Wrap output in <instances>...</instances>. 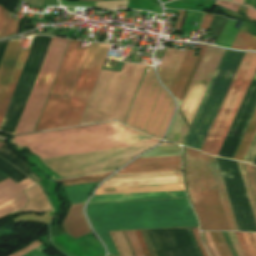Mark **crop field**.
I'll list each match as a JSON object with an SVG mask.
<instances>
[{
    "label": "crop field",
    "mask_w": 256,
    "mask_h": 256,
    "mask_svg": "<svg viewBox=\"0 0 256 256\" xmlns=\"http://www.w3.org/2000/svg\"><path fill=\"white\" fill-rule=\"evenodd\" d=\"M21 20L10 19L9 12L0 5V37L18 32Z\"/></svg>",
    "instance_id": "crop-field-20"
},
{
    "label": "crop field",
    "mask_w": 256,
    "mask_h": 256,
    "mask_svg": "<svg viewBox=\"0 0 256 256\" xmlns=\"http://www.w3.org/2000/svg\"><path fill=\"white\" fill-rule=\"evenodd\" d=\"M255 131H256V111H255V113H254V115L251 119V122H250V124H249V126H248V128L245 132V135H244V137H243V139H242V141L239 145V148H238V150H237L233 159L240 160V161L243 160L245 152H246V150H247V148H248V146L251 142V139H252Z\"/></svg>",
    "instance_id": "crop-field-21"
},
{
    "label": "crop field",
    "mask_w": 256,
    "mask_h": 256,
    "mask_svg": "<svg viewBox=\"0 0 256 256\" xmlns=\"http://www.w3.org/2000/svg\"><path fill=\"white\" fill-rule=\"evenodd\" d=\"M231 48L256 50V36L239 30Z\"/></svg>",
    "instance_id": "crop-field-22"
},
{
    "label": "crop field",
    "mask_w": 256,
    "mask_h": 256,
    "mask_svg": "<svg viewBox=\"0 0 256 256\" xmlns=\"http://www.w3.org/2000/svg\"><path fill=\"white\" fill-rule=\"evenodd\" d=\"M111 45L93 43L60 127L78 125Z\"/></svg>",
    "instance_id": "crop-field-11"
},
{
    "label": "crop field",
    "mask_w": 256,
    "mask_h": 256,
    "mask_svg": "<svg viewBox=\"0 0 256 256\" xmlns=\"http://www.w3.org/2000/svg\"><path fill=\"white\" fill-rule=\"evenodd\" d=\"M117 122L18 136L10 143L23 144L40 159L159 142Z\"/></svg>",
    "instance_id": "crop-field-3"
},
{
    "label": "crop field",
    "mask_w": 256,
    "mask_h": 256,
    "mask_svg": "<svg viewBox=\"0 0 256 256\" xmlns=\"http://www.w3.org/2000/svg\"><path fill=\"white\" fill-rule=\"evenodd\" d=\"M187 50L188 49H186L185 52H182L167 48L163 55L157 71L164 85L168 89H170L174 81Z\"/></svg>",
    "instance_id": "crop-field-15"
},
{
    "label": "crop field",
    "mask_w": 256,
    "mask_h": 256,
    "mask_svg": "<svg viewBox=\"0 0 256 256\" xmlns=\"http://www.w3.org/2000/svg\"><path fill=\"white\" fill-rule=\"evenodd\" d=\"M186 197L184 191L93 196L90 202Z\"/></svg>",
    "instance_id": "crop-field-18"
},
{
    "label": "crop field",
    "mask_w": 256,
    "mask_h": 256,
    "mask_svg": "<svg viewBox=\"0 0 256 256\" xmlns=\"http://www.w3.org/2000/svg\"><path fill=\"white\" fill-rule=\"evenodd\" d=\"M215 5H220V6L226 8V9H229V10L235 12V13L237 12V10L239 8L238 5L230 3L228 1H224V0H216L214 6Z\"/></svg>",
    "instance_id": "crop-field-30"
},
{
    "label": "crop field",
    "mask_w": 256,
    "mask_h": 256,
    "mask_svg": "<svg viewBox=\"0 0 256 256\" xmlns=\"http://www.w3.org/2000/svg\"><path fill=\"white\" fill-rule=\"evenodd\" d=\"M167 1H169V0H167Z\"/></svg>",
    "instance_id": "crop-field-47"
},
{
    "label": "crop field",
    "mask_w": 256,
    "mask_h": 256,
    "mask_svg": "<svg viewBox=\"0 0 256 256\" xmlns=\"http://www.w3.org/2000/svg\"><path fill=\"white\" fill-rule=\"evenodd\" d=\"M87 216L114 256L108 231L198 226L187 199L89 204Z\"/></svg>",
    "instance_id": "crop-field-2"
},
{
    "label": "crop field",
    "mask_w": 256,
    "mask_h": 256,
    "mask_svg": "<svg viewBox=\"0 0 256 256\" xmlns=\"http://www.w3.org/2000/svg\"><path fill=\"white\" fill-rule=\"evenodd\" d=\"M212 16L213 15L205 14L200 28L207 29L208 26H209V23L211 21Z\"/></svg>",
    "instance_id": "crop-field-38"
},
{
    "label": "crop field",
    "mask_w": 256,
    "mask_h": 256,
    "mask_svg": "<svg viewBox=\"0 0 256 256\" xmlns=\"http://www.w3.org/2000/svg\"><path fill=\"white\" fill-rule=\"evenodd\" d=\"M111 188H117V191L104 192V189H111ZM175 190H184L183 183L98 188L95 195L175 191Z\"/></svg>",
    "instance_id": "crop-field-17"
},
{
    "label": "crop field",
    "mask_w": 256,
    "mask_h": 256,
    "mask_svg": "<svg viewBox=\"0 0 256 256\" xmlns=\"http://www.w3.org/2000/svg\"><path fill=\"white\" fill-rule=\"evenodd\" d=\"M245 158H247L246 162L251 164H253L256 159V134L253 138V141L248 149Z\"/></svg>",
    "instance_id": "crop-field-29"
},
{
    "label": "crop field",
    "mask_w": 256,
    "mask_h": 256,
    "mask_svg": "<svg viewBox=\"0 0 256 256\" xmlns=\"http://www.w3.org/2000/svg\"><path fill=\"white\" fill-rule=\"evenodd\" d=\"M245 5L246 6L250 5V6L256 7V0H245Z\"/></svg>",
    "instance_id": "crop-field-42"
},
{
    "label": "crop field",
    "mask_w": 256,
    "mask_h": 256,
    "mask_svg": "<svg viewBox=\"0 0 256 256\" xmlns=\"http://www.w3.org/2000/svg\"><path fill=\"white\" fill-rule=\"evenodd\" d=\"M224 51L225 50L223 49L211 46L207 47L198 66V69L193 77V80L188 88V91L183 99V102L176 114L172 128L166 137V140H169L171 133H173L178 135V137L172 134L170 140L175 142L177 137L176 143L183 144L195 118V112H197L199 109V106L211 82L210 79H212ZM244 54L245 53L242 52L225 51L213 81L208 89V92L183 145L201 149ZM196 76L210 79L199 77L196 78ZM182 108L195 112L185 111L182 110ZM179 111L182 112L190 127L185 124Z\"/></svg>",
    "instance_id": "crop-field-1"
},
{
    "label": "crop field",
    "mask_w": 256,
    "mask_h": 256,
    "mask_svg": "<svg viewBox=\"0 0 256 256\" xmlns=\"http://www.w3.org/2000/svg\"><path fill=\"white\" fill-rule=\"evenodd\" d=\"M40 245H41V243L37 240L34 243L27 246L26 248L22 249L21 251L15 253V254H12L10 256H22V255L26 254L27 252L31 251L32 249L40 246Z\"/></svg>",
    "instance_id": "crop-field-32"
},
{
    "label": "crop field",
    "mask_w": 256,
    "mask_h": 256,
    "mask_svg": "<svg viewBox=\"0 0 256 256\" xmlns=\"http://www.w3.org/2000/svg\"><path fill=\"white\" fill-rule=\"evenodd\" d=\"M173 111L171 96L159 85L153 69L149 67L125 124L161 139Z\"/></svg>",
    "instance_id": "crop-field-5"
},
{
    "label": "crop field",
    "mask_w": 256,
    "mask_h": 256,
    "mask_svg": "<svg viewBox=\"0 0 256 256\" xmlns=\"http://www.w3.org/2000/svg\"><path fill=\"white\" fill-rule=\"evenodd\" d=\"M134 232H135V234H136V236H137V238H138V241H139V243H140V246H141V249H142L144 255H145V256H150V254H149V252H148V250H147V248H146V245H145V243H144V240H143V238H142V235H141L140 231H134Z\"/></svg>",
    "instance_id": "crop-field-33"
},
{
    "label": "crop field",
    "mask_w": 256,
    "mask_h": 256,
    "mask_svg": "<svg viewBox=\"0 0 256 256\" xmlns=\"http://www.w3.org/2000/svg\"><path fill=\"white\" fill-rule=\"evenodd\" d=\"M206 47L207 46L204 45L201 46L198 57L193 56L195 50H188L170 89V91L175 95L176 99H183Z\"/></svg>",
    "instance_id": "crop-field-14"
},
{
    "label": "crop field",
    "mask_w": 256,
    "mask_h": 256,
    "mask_svg": "<svg viewBox=\"0 0 256 256\" xmlns=\"http://www.w3.org/2000/svg\"><path fill=\"white\" fill-rule=\"evenodd\" d=\"M256 70V53H246L212 125L202 151L217 155Z\"/></svg>",
    "instance_id": "crop-field-7"
},
{
    "label": "crop field",
    "mask_w": 256,
    "mask_h": 256,
    "mask_svg": "<svg viewBox=\"0 0 256 256\" xmlns=\"http://www.w3.org/2000/svg\"><path fill=\"white\" fill-rule=\"evenodd\" d=\"M245 164L254 194H255V198H256V167L250 164Z\"/></svg>",
    "instance_id": "crop-field-27"
},
{
    "label": "crop field",
    "mask_w": 256,
    "mask_h": 256,
    "mask_svg": "<svg viewBox=\"0 0 256 256\" xmlns=\"http://www.w3.org/2000/svg\"><path fill=\"white\" fill-rule=\"evenodd\" d=\"M20 41L21 40H15V41L9 42L6 52L4 54L3 60L1 62V65H0V101H1V98L5 91V88L7 86V83L9 81V78L11 76V73L13 71V68L15 66V63L17 61V58L19 56V53L21 51L19 49ZM29 52L30 51L22 50L20 53V56L18 58L16 66L14 68V71L12 73V76L10 78L8 86L6 88V91L4 93L2 101L0 103V123H1L3 115L7 108L8 102L10 100L11 94L14 90V87H15L16 82L19 78V75L22 71V68L25 64V61L27 59Z\"/></svg>",
    "instance_id": "crop-field-12"
},
{
    "label": "crop field",
    "mask_w": 256,
    "mask_h": 256,
    "mask_svg": "<svg viewBox=\"0 0 256 256\" xmlns=\"http://www.w3.org/2000/svg\"><path fill=\"white\" fill-rule=\"evenodd\" d=\"M193 233H194V235L196 237V240L198 242V245L200 247V250H201L203 256H208L206 251H205V249H204V247H203V245H202V243H201V241H200L199 230H193Z\"/></svg>",
    "instance_id": "crop-field-36"
},
{
    "label": "crop field",
    "mask_w": 256,
    "mask_h": 256,
    "mask_svg": "<svg viewBox=\"0 0 256 256\" xmlns=\"http://www.w3.org/2000/svg\"><path fill=\"white\" fill-rule=\"evenodd\" d=\"M246 15L256 20V11L255 10L248 8Z\"/></svg>",
    "instance_id": "crop-field-41"
},
{
    "label": "crop field",
    "mask_w": 256,
    "mask_h": 256,
    "mask_svg": "<svg viewBox=\"0 0 256 256\" xmlns=\"http://www.w3.org/2000/svg\"><path fill=\"white\" fill-rule=\"evenodd\" d=\"M181 170V156L138 158L117 173ZM183 182L181 171L114 174L100 187Z\"/></svg>",
    "instance_id": "crop-field-8"
},
{
    "label": "crop field",
    "mask_w": 256,
    "mask_h": 256,
    "mask_svg": "<svg viewBox=\"0 0 256 256\" xmlns=\"http://www.w3.org/2000/svg\"><path fill=\"white\" fill-rule=\"evenodd\" d=\"M248 234V236H249V238H250V240H251V243H252V245H253V247H254V249H255V251H256V243H255V241H254V239H253V237H252V234L251 233H247Z\"/></svg>",
    "instance_id": "crop-field-43"
},
{
    "label": "crop field",
    "mask_w": 256,
    "mask_h": 256,
    "mask_svg": "<svg viewBox=\"0 0 256 256\" xmlns=\"http://www.w3.org/2000/svg\"><path fill=\"white\" fill-rule=\"evenodd\" d=\"M184 12L185 11L179 10L178 16H177V22H176V25H175V29H178V30L181 29Z\"/></svg>",
    "instance_id": "crop-field-37"
},
{
    "label": "crop field",
    "mask_w": 256,
    "mask_h": 256,
    "mask_svg": "<svg viewBox=\"0 0 256 256\" xmlns=\"http://www.w3.org/2000/svg\"><path fill=\"white\" fill-rule=\"evenodd\" d=\"M220 256H227L216 232H210Z\"/></svg>",
    "instance_id": "crop-field-31"
},
{
    "label": "crop field",
    "mask_w": 256,
    "mask_h": 256,
    "mask_svg": "<svg viewBox=\"0 0 256 256\" xmlns=\"http://www.w3.org/2000/svg\"><path fill=\"white\" fill-rule=\"evenodd\" d=\"M123 256H132L121 232L113 233Z\"/></svg>",
    "instance_id": "crop-field-26"
},
{
    "label": "crop field",
    "mask_w": 256,
    "mask_h": 256,
    "mask_svg": "<svg viewBox=\"0 0 256 256\" xmlns=\"http://www.w3.org/2000/svg\"><path fill=\"white\" fill-rule=\"evenodd\" d=\"M242 233H243V235H244V238H245V240H246V243H247V245H248V247H249V249H250V252H251L252 256H256V253H255V251H254V249H253V247H252V245H251V243H250V240H249L247 234L244 233V232H242Z\"/></svg>",
    "instance_id": "crop-field-40"
},
{
    "label": "crop field",
    "mask_w": 256,
    "mask_h": 256,
    "mask_svg": "<svg viewBox=\"0 0 256 256\" xmlns=\"http://www.w3.org/2000/svg\"><path fill=\"white\" fill-rule=\"evenodd\" d=\"M113 172H115V171H113ZM113 172L96 174V175H88V176H83V177H79V178H75V179L59 180L57 182L62 183V186L65 187L67 185H72V184L101 181L104 177L110 175Z\"/></svg>",
    "instance_id": "crop-field-23"
},
{
    "label": "crop field",
    "mask_w": 256,
    "mask_h": 256,
    "mask_svg": "<svg viewBox=\"0 0 256 256\" xmlns=\"http://www.w3.org/2000/svg\"><path fill=\"white\" fill-rule=\"evenodd\" d=\"M204 233H205L207 242H208V244H209V246H210V248H211V250H212L214 256H219V254H218V252H217V250H216V248H215V245H214V243H213V240H212V238H211L210 233H209V232H204Z\"/></svg>",
    "instance_id": "crop-field-35"
},
{
    "label": "crop field",
    "mask_w": 256,
    "mask_h": 256,
    "mask_svg": "<svg viewBox=\"0 0 256 256\" xmlns=\"http://www.w3.org/2000/svg\"><path fill=\"white\" fill-rule=\"evenodd\" d=\"M99 182L65 187V193L71 204L86 202Z\"/></svg>",
    "instance_id": "crop-field-19"
},
{
    "label": "crop field",
    "mask_w": 256,
    "mask_h": 256,
    "mask_svg": "<svg viewBox=\"0 0 256 256\" xmlns=\"http://www.w3.org/2000/svg\"><path fill=\"white\" fill-rule=\"evenodd\" d=\"M68 41L52 38L15 134L33 130Z\"/></svg>",
    "instance_id": "crop-field-9"
},
{
    "label": "crop field",
    "mask_w": 256,
    "mask_h": 256,
    "mask_svg": "<svg viewBox=\"0 0 256 256\" xmlns=\"http://www.w3.org/2000/svg\"><path fill=\"white\" fill-rule=\"evenodd\" d=\"M217 233H218V235H219V238H220V240H221V242H222V244H223V246H224V248H225V250H226L228 256H232V254H231V252H230V249H229V247H228V245H227V243H226V241H225V238H224L222 232H217Z\"/></svg>",
    "instance_id": "crop-field-39"
},
{
    "label": "crop field",
    "mask_w": 256,
    "mask_h": 256,
    "mask_svg": "<svg viewBox=\"0 0 256 256\" xmlns=\"http://www.w3.org/2000/svg\"><path fill=\"white\" fill-rule=\"evenodd\" d=\"M35 184L29 177L17 184L9 178L0 182V218L26 206L27 197L22 191Z\"/></svg>",
    "instance_id": "crop-field-13"
},
{
    "label": "crop field",
    "mask_w": 256,
    "mask_h": 256,
    "mask_svg": "<svg viewBox=\"0 0 256 256\" xmlns=\"http://www.w3.org/2000/svg\"><path fill=\"white\" fill-rule=\"evenodd\" d=\"M185 173L189 196L203 230H230L207 156L186 148Z\"/></svg>",
    "instance_id": "crop-field-4"
},
{
    "label": "crop field",
    "mask_w": 256,
    "mask_h": 256,
    "mask_svg": "<svg viewBox=\"0 0 256 256\" xmlns=\"http://www.w3.org/2000/svg\"><path fill=\"white\" fill-rule=\"evenodd\" d=\"M71 41L35 131L59 127L90 46ZM80 41L77 46L80 45ZM92 47V46H91Z\"/></svg>",
    "instance_id": "crop-field-6"
},
{
    "label": "crop field",
    "mask_w": 256,
    "mask_h": 256,
    "mask_svg": "<svg viewBox=\"0 0 256 256\" xmlns=\"http://www.w3.org/2000/svg\"><path fill=\"white\" fill-rule=\"evenodd\" d=\"M32 177H34L38 182L41 181L38 177L31 175Z\"/></svg>",
    "instance_id": "crop-field-45"
},
{
    "label": "crop field",
    "mask_w": 256,
    "mask_h": 256,
    "mask_svg": "<svg viewBox=\"0 0 256 256\" xmlns=\"http://www.w3.org/2000/svg\"><path fill=\"white\" fill-rule=\"evenodd\" d=\"M181 151L182 149L179 146L156 147L141 157L181 155Z\"/></svg>",
    "instance_id": "crop-field-24"
},
{
    "label": "crop field",
    "mask_w": 256,
    "mask_h": 256,
    "mask_svg": "<svg viewBox=\"0 0 256 256\" xmlns=\"http://www.w3.org/2000/svg\"><path fill=\"white\" fill-rule=\"evenodd\" d=\"M235 232H236V235L238 237L239 243H240V245H241L245 255L246 256H251V254H250V252H249V250H248V248H247V246H246V244H245V242L243 240L242 233L238 232V231H235Z\"/></svg>",
    "instance_id": "crop-field-34"
},
{
    "label": "crop field",
    "mask_w": 256,
    "mask_h": 256,
    "mask_svg": "<svg viewBox=\"0 0 256 256\" xmlns=\"http://www.w3.org/2000/svg\"><path fill=\"white\" fill-rule=\"evenodd\" d=\"M83 205L84 203L72 205L63 221L65 232L75 238L91 232L82 213Z\"/></svg>",
    "instance_id": "crop-field-16"
},
{
    "label": "crop field",
    "mask_w": 256,
    "mask_h": 256,
    "mask_svg": "<svg viewBox=\"0 0 256 256\" xmlns=\"http://www.w3.org/2000/svg\"><path fill=\"white\" fill-rule=\"evenodd\" d=\"M126 235H127L128 239H129V241H130V243L133 247L135 255L136 256H143L142 251H141L140 246L137 242V239L135 237L134 232L133 231H126Z\"/></svg>",
    "instance_id": "crop-field-28"
},
{
    "label": "crop field",
    "mask_w": 256,
    "mask_h": 256,
    "mask_svg": "<svg viewBox=\"0 0 256 256\" xmlns=\"http://www.w3.org/2000/svg\"><path fill=\"white\" fill-rule=\"evenodd\" d=\"M3 144H4V143H1V142H0V147H1Z\"/></svg>",
    "instance_id": "crop-field-46"
},
{
    "label": "crop field",
    "mask_w": 256,
    "mask_h": 256,
    "mask_svg": "<svg viewBox=\"0 0 256 256\" xmlns=\"http://www.w3.org/2000/svg\"><path fill=\"white\" fill-rule=\"evenodd\" d=\"M51 38L50 36L36 35L31 52L1 123L0 130L15 133Z\"/></svg>",
    "instance_id": "crop-field-10"
},
{
    "label": "crop field",
    "mask_w": 256,
    "mask_h": 256,
    "mask_svg": "<svg viewBox=\"0 0 256 256\" xmlns=\"http://www.w3.org/2000/svg\"><path fill=\"white\" fill-rule=\"evenodd\" d=\"M128 0L100 1L96 2L95 7L104 9H114L119 6H127Z\"/></svg>",
    "instance_id": "crop-field-25"
},
{
    "label": "crop field",
    "mask_w": 256,
    "mask_h": 256,
    "mask_svg": "<svg viewBox=\"0 0 256 256\" xmlns=\"http://www.w3.org/2000/svg\"><path fill=\"white\" fill-rule=\"evenodd\" d=\"M233 2H236L238 4L244 5V0H232Z\"/></svg>",
    "instance_id": "crop-field-44"
}]
</instances>
